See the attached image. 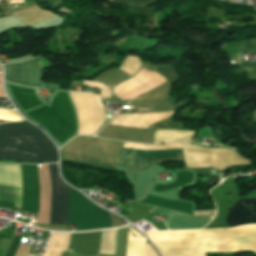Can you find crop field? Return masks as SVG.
<instances>
[{
	"mask_svg": "<svg viewBox=\"0 0 256 256\" xmlns=\"http://www.w3.org/2000/svg\"><path fill=\"white\" fill-rule=\"evenodd\" d=\"M152 241L230 240L245 235H256V225H245L226 230H195L178 232H146ZM163 256H199L205 252L252 250L256 253V236L230 241L153 242Z\"/></svg>",
	"mask_w": 256,
	"mask_h": 256,
	"instance_id": "crop-field-1",
	"label": "crop field"
},
{
	"mask_svg": "<svg viewBox=\"0 0 256 256\" xmlns=\"http://www.w3.org/2000/svg\"><path fill=\"white\" fill-rule=\"evenodd\" d=\"M0 159L57 162V152L54 144L30 123H4L0 124Z\"/></svg>",
	"mask_w": 256,
	"mask_h": 256,
	"instance_id": "crop-field-2",
	"label": "crop field"
},
{
	"mask_svg": "<svg viewBox=\"0 0 256 256\" xmlns=\"http://www.w3.org/2000/svg\"><path fill=\"white\" fill-rule=\"evenodd\" d=\"M185 165L189 168L213 167L224 170L229 166L249 165L233 151L225 149H207L183 143Z\"/></svg>",
	"mask_w": 256,
	"mask_h": 256,
	"instance_id": "crop-field-3",
	"label": "crop field"
},
{
	"mask_svg": "<svg viewBox=\"0 0 256 256\" xmlns=\"http://www.w3.org/2000/svg\"><path fill=\"white\" fill-rule=\"evenodd\" d=\"M52 201L50 224L67 225L69 186L58 176L57 164H49Z\"/></svg>",
	"mask_w": 256,
	"mask_h": 256,
	"instance_id": "crop-field-4",
	"label": "crop field"
},
{
	"mask_svg": "<svg viewBox=\"0 0 256 256\" xmlns=\"http://www.w3.org/2000/svg\"><path fill=\"white\" fill-rule=\"evenodd\" d=\"M182 153L183 148L145 149L125 147L119 162L137 167H144L158 158L175 157V154Z\"/></svg>",
	"mask_w": 256,
	"mask_h": 256,
	"instance_id": "crop-field-5",
	"label": "crop field"
},
{
	"mask_svg": "<svg viewBox=\"0 0 256 256\" xmlns=\"http://www.w3.org/2000/svg\"><path fill=\"white\" fill-rule=\"evenodd\" d=\"M4 67L6 69V80L26 86L40 87L41 65L39 58L17 64L4 65Z\"/></svg>",
	"mask_w": 256,
	"mask_h": 256,
	"instance_id": "crop-field-6",
	"label": "crop field"
},
{
	"mask_svg": "<svg viewBox=\"0 0 256 256\" xmlns=\"http://www.w3.org/2000/svg\"><path fill=\"white\" fill-rule=\"evenodd\" d=\"M150 213L168 216L166 225L170 230L203 228L213 217H192L153 208Z\"/></svg>",
	"mask_w": 256,
	"mask_h": 256,
	"instance_id": "crop-field-7",
	"label": "crop field"
},
{
	"mask_svg": "<svg viewBox=\"0 0 256 256\" xmlns=\"http://www.w3.org/2000/svg\"><path fill=\"white\" fill-rule=\"evenodd\" d=\"M226 223L230 227L256 223V199L237 200L226 217Z\"/></svg>",
	"mask_w": 256,
	"mask_h": 256,
	"instance_id": "crop-field-8",
	"label": "crop field"
},
{
	"mask_svg": "<svg viewBox=\"0 0 256 256\" xmlns=\"http://www.w3.org/2000/svg\"><path fill=\"white\" fill-rule=\"evenodd\" d=\"M101 231L94 233H72L69 251L81 255L97 256Z\"/></svg>",
	"mask_w": 256,
	"mask_h": 256,
	"instance_id": "crop-field-9",
	"label": "crop field"
},
{
	"mask_svg": "<svg viewBox=\"0 0 256 256\" xmlns=\"http://www.w3.org/2000/svg\"><path fill=\"white\" fill-rule=\"evenodd\" d=\"M194 135V131L156 130L154 143L188 141Z\"/></svg>",
	"mask_w": 256,
	"mask_h": 256,
	"instance_id": "crop-field-10",
	"label": "crop field"
},
{
	"mask_svg": "<svg viewBox=\"0 0 256 256\" xmlns=\"http://www.w3.org/2000/svg\"><path fill=\"white\" fill-rule=\"evenodd\" d=\"M71 234L53 233L44 256H61L63 250L68 251Z\"/></svg>",
	"mask_w": 256,
	"mask_h": 256,
	"instance_id": "crop-field-11",
	"label": "crop field"
},
{
	"mask_svg": "<svg viewBox=\"0 0 256 256\" xmlns=\"http://www.w3.org/2000/svg\"><path fill=\"white\" fill-rule=\"evenodd\" d=\"M117 230L102 231L99 253L114 255L116 247Z\"/></svg>",
	"mask_w": 256,
	"mask_h": 256,
	"instance_id": "crop-field-12",
	"label": "crop field"
},
{
	"mask_svg": "<svg viewBox=\"0 0 256 256\" xmlns=\"http://www.w3.org/2000/svg\"><path fill=\"white\" fill-rule=\"evenodd\" d=\"M126 256H146V239L128 237Z\"/></svg>",
	"mask_w": 256,
	"mask_h": 256,
	"instance_id": "crop-field-13",
	"label": "crop field"
},
{
	"mask_svg": "<svg viewBox=\"0 0 256 256\" xmlns=\"http://www.w3.org/2000/svg\"><path fill=\"white\" fill-rule=\"evenodd\" d=\"M0 119L8 121H22L24 120L20 114L14 110H0Z\"/></svg>",
	"mask_w": 256,
	"mask_h": 256,
	"instance_id": "crop-field-14",
	"label": "crop field"
},
{
	"mask_svg": "<svg viewBox=\"0 0 256 256\" xmlns=\"http://www.w3.org/2000/svg\"><path fill=\"white\" fill-rule=\"evenodd\" d=\"M0 200L14 202V188L0 186Z\"/></svg>",
	"mask_w": 256,
	"mask_h": 256,
	"instance_id": "crop-field-15",
	"label": "crop field"
},
{
	"mask_svg": "<svg viewBox=\"0 0 256 256\" xmlns=\"http://www.w3.org/2000/svg\"><path fill=\"white\" fill-rule=\"evenodd\" d=\"M236 73L250 71L256 72V64L253 63H241L238 68L234 69Z\"/></svg>",
	"mask_w": 256,
	"mask_h": 256,
	"instance_id": "crop-field-16",
	"label": "crop field"
},
{
	"mask_svg": "<svg viewBox=\"0 0 256 256\" xmlns=\"http://www.w3.org/2000/svg\"><path fill=\"white\" fill-rule=\"evenodd\" d=\"M238 48H239V51H240L241 54L246 53V52L252 50V47H251L250 43H247V44H244L242 46H239Z\"/></svg>",
	"mask_w": 256,
	"mask_h": 256,
	"instance_id": "crop-field-17",
	"label": "crop field"
},
{
	"mask_svg": "<svg viewBox=\"0 0 256 256\" xmlns=\"http://www.w3.org/2000/svg\"><path fill=\"white\" fill-rule=\"evenodd\" d=\"M147 256H157L150 244H147Z\"/></svg>",
	"mask_w": 256,
	"mask_h": 256,
	"instance_id": "crop-field-18",
	"label": "crop field"
},
{
	"mask_svg": "<svg viewBox=\"0 0 256 256\" xmlns=\"http://www.w3.org/2000/svg\"><path fill=\"white\" fill-rule=\"evenodd\" d=\"M251 43H252L254 49H256V42H251Z\"/></svg>",
	"mask_w": 256,
	"mask_h": 256,
	"instance_id": "crop-field-19",
	"label": "crop field"
},
{
	"mask_svg": "<svg viewBox=\"0 0 256 256\" xmlns=\"http://www.w3.org/2000/svg\"><path fill=\"white\" fill-rule=\"evenodd\" d=\"M253 117H256V112L254 113Z\"/></svg>",
	"mask_w": 256,
	"mask_h": 256,
	"instance_id": "crop-field-20",
	"label": "crop field"
},
{
	"mask_svg": "<svg viewBox=\"0 0 256 256\" xmlns=\"http://www.w3.org/2000/svg\"><path fill=\"white\" fill-rule=\"evenodd\" d=\"M32 254V253H31ZM35 255H37V254H35ZM39 256H41V255H39Z\"/></svg>",
	"mask_w": 256,
	"mask_h": 256,
	"instance_id": "crop-field-21",
	"label": "crop field"
}]
</instances>
